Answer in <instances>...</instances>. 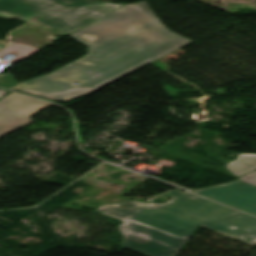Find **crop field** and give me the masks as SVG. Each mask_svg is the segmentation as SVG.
Segmentation results:
<instances>
[{
	"label": "crop field",
	"instance_id": "8a807250",
	"mask_svg": "<svg viewBox=\"0 0 256 256\" xmlns=\"http://www.w3.org/2000/svg\"><path fill=\"white\" fill-rule=\"evenodd\" d=\"M68 36L88 47V54L10 90L70 102L192 42L170 31L147 1L123 6Z\"/></svg>",
	"mask_w": 256,
	"mask_h": 256
},
{
	"label": "crop field",
	"instance_id": "ac0d7876",
	"mask_svg": "<svg viewBox=\"0 0 256 256\" xmlns=\"http://www.w3.org/2000/svg\"><path fill=\"white\" fill-rule=\"evenodd\" d=\"M162 204L124 201L100 206L98 212L123 220L122 246L145 256H175L199 224L240 213L190 193H167Z\"/></svg>",
	"mask_w": 256,
	"mask_h": 256
},
{
	"label": "crop field",
	"instance_id": "34b2d1b8",
	"mask_svg": "<svg viewBox=\"0 0 256 256\" xmlns=\"http://www.w3.org/2000/svg\"><path fill=\"white\" fill-rule=\"evenodd\" d=\"M121 6L89 0H0V17L66 35Z\"/></svg>",
	"mask_w": 256,
	"mask_h": 256
},
{
	"label": "crop field",
	"instance_id": "412701ff",
	"mask_svg": "<svg viewBox=\"0 0 256 256\" xmlns=\"http://www.w3.org/2000/svg\"><path fill=\"white\" fill-rule=\"evenodd\" d=\"M49 105L14 92L0 99V138L33 122L30 117Z\"/></svg>",
	"mask_w": 256,
	"mask_h": 256
},
{
	"label": "crop field",
	"instance_id": "f4fd0767",
	"mask_svg": "<svg viewBox=\"0 0 256 256\" xmlns=\"http://www.w3.org/2000/svg\"><path fill=\"white\" fill-rule=\"evenodd\" d=\"M192 192L256 215V187L239 180Z\"/></svg>",
	"mask_w": 256,
	"mask_h": 256
},
{
	"label": "crop field",
	"instance_id": "dd49c442",
	"mask_svg": "<svg viewBox=\"0 0 256 256\" xmlns=\"http://www.w3.org/2000/svg\"><path fill=\"white\" fill-rule=\"evenodd\" d=\"M203 226L251 244L256 243V218L245 214Z\"/></svg>",
	"mask_w": 256,
	"mask_h": 256
},
{
	"label": "crop field",
	"instance_id": "e52e79f7",
	"mask_svg": "<svg viewBox=\"0 0 256 256\" xmlns=\"http://www.w3.org/2000/svg\"><path fill=\"white\" fill-rule=\"evenodd\" d=\"M226 168L237 177L256 170V154H239Z\"/></svg>",
	"mask_w": 256,
	"mask_h": 256
},
{
	"label": "crop field",
	"instance_id": "d8731c3e",
	"mask_svg": "<svg viewBox=\"0 0 256 256\" xmlns=\"http://www.w3.org/2000/svg\"><path fill=\"white\" fill-rule=\"evenodd\" d=\"M17 84V82L12 78L11 74L0 75V86L1 87H11Z\"/></svg>",
	"mask_w": 256,
	"mask_h": 256
},
{
	"label": "crop field",
	"instance_id": "5a996713",
	"mask_svg": "<svg viewBox=\"0 0 256 256\" xmlns=\"http://www.w3.org/2000/svg\"><path fill=\"white\" fill-rule=\"evenodd\" d=\"M239 180L256 186V171L239 178Z\"/></svg>",
	"mask_w": 256,
	"mask_h": 256
},
{
	"label": "crop field",
	"instance_id": "3316defc",
	"mask_svg": "<svg viewBox=\"0 0 256 256\" xmlns=\"http://www.w3.org/2000/svg\"><path fill=\"white\" fill-rule=\"evenodd\" d=\"M7 92L0 90V97L5 95Z\"/></svg>",
	"mask_w": 256,
	"mask_h": 256
},
{
	"label": "crop field",
	"instance_id": "28ad6ade",
	"mask_svg": "<svg viewBox=\"0 0 256 256\" xmlns=\"http://www.w3.org/2000/svg\"><path fill=\"white\" fill-rule=\"evenodd\" d=\"M4 47H5V46H3V45L0 44V50H1L2 48H4Z\"/></svg>",
	"mask_w": 256,
	"mask_h": 256
}]
</instances>
